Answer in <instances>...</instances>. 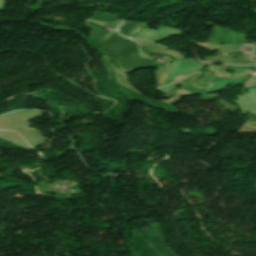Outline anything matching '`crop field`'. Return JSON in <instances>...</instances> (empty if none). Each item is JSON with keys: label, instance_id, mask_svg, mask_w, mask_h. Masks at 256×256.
Instances as JSON below:
<instances>
[{"label": "crop field", "instance_id": "412701ff", "mask_svg": "<svg viewBox=\"0 0 256 256\" xmlns=\"http://www.w3.org/2000/svg\"><path fill=\"white\" fill-rule=\"evenodd\" d=\"M182 77H184V76H183V75H181V76H179V77L175 78V80H178V79H180V78H182Z\"/></svg>", "mask_w": 256, "mask_h": 256}, {"label": "crop field", "instance_id": "34b2d1b8", "mask_svg": "<svg viewBox=\"0 0 256 256\" xmlns=\"http://www.w3.org/2000/svg\"><path fill=\"white\" fill-rule=\"evenodd\" d=\"M164 78H165V76L163 75L161 78V86H163L162 83H163Z\"/></svg>", "mask_w": 256, "mask_h": 256}, {"label": "crop field", "instance_id": "8a807250", "mask_svg": "<svg viewBox=\"0 0 256 256\" xmlns=\"http://www.w3.org/2000/svg\"><path fill=\"white\" fill-rule=\"evenodd\" d=\"M157 28H159V30L155 31L145 27L134 37L149 39L157 42V41L169 38L173 35H177L180 32L179 30H175L168 27H157Z\"/></svg>", "mask_w": 256, "mask_h": 256}, {"label": "crop field", "instance_id": "ac0d7876", "mask_svg": "<svg viewBox=\"0 0 256 256\" xmlns=\"http://www.w3.org/2000/svg\"><path fill=\"white\" fill-rule=\"evenodd\" d=\"M141 25H143V24H137L132 30H131V32H129L128 34H127V36H129V37H133L134 36V32H135V30L138 28V27H140ZM141 28V27H140ZM140 28H138L137 29V31L140 29ZM136 31V32H137Z\"/></svg>", "mask_w": 256, "mask_h": 256}]
</instances>
